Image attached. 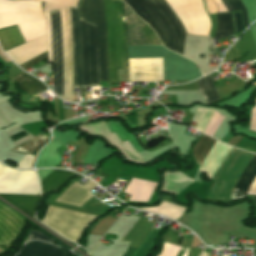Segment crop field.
I'll return each mask as SVG.
<instances>
[{
	"mask_svg": "<svg viewBox=\"0 0 256 256\" xmlns=\"http://www.w3.org/2000/svg\"><path fill=\"white\" fill-rule=\"evenodd\" d=\"M253 197V199H254V202H255V204H256V196H252Z\"/></svg>",
	"mask_w": 256,
	"mask_h": 256,
	"instance_id": "32",
	"label": "crop field"
},
{
	"mask_svg": "<svg viewBox=\"0 0 256 256\" xmlns=\"http://www.w3.org/2000/svg\"><path fill=\"white\" fill-rule=\"evenodd\" d=\"M95 186L96 185H94L90 181H88L84 187L75 182L55 201L81 206L83 203H85L89 198L93 196L89 192Z\"/></svg>",
	"mask_w": 256,
	"mask_h": 256,
	"instance_id": "14",
	"label": "crop field"
},
{
	"mask_svg": "<svg viewBox=\"0 0 256 256\" xmlns=\"http://www.w3.org/2000/svg\"><path fill=\"white\" fill-rule=\"evenodd\" d=\"M24 43L16 25L0 30V45L3 51Z\"/></svg>",
	"mask_w": 256,
	"mask_h": 256,
	"instance_id": "21",
	"label": "crop field"
},
{
	"mask_svg": "<svg viewBox=\"0 0 256 256\" xmlns=\"http://www.w3.org/2000/svg\"><path fill=\"white\" fill-rule=\"evenodd\" d=\"M47 20L48 35L41 36L32 41L19 45L15 48L5 51V53L18 65L28 59L48 50V62H52L51 57V24L49 13H44Z\"/></svg>",
	"mask_w": 256,
	"mask_h": 256,
	"instance_id": "8",
	"label": "crop field"
},
{
	"mask_svg": "<svg viewBox=\"0 0 256 256\" xmlns=\"http://www.w3.org/2000/svg\"><path fill=\"white\" fill-rule=\"evenodd\" d=\"M206 3V10L209 14L215 13L216 12V6L212 2V0H204ZM218 6V12H223L226 11L223 3L221 0H214Z\"/></svg>",
	"mask_w": 256,
	"mask_h": 256,
	"instance_id": "28",
	"label": "crop field"
},
{
	"mask_svg": "<svg viewBox=\"0 0 256 256\" xmlns=\"http://www.w3.org/2000/svg\"><path fill=\"white\" fill-rule=\"evenodd\" d=\"M63 46V99L72 101V52L69 8L60 9Z\"/></svg>",
	"mask_w": 256,
	"mask_h": 256,
	"instance_id": "7",
	"label": "crop field"
},
{
	"mask_svg": "<svg viewBox=\"0 0 256 256\" xmlns=\"http://www.w3.org/2000/svg\"><path fill=\"white\" fill-rule=\"evenodd\" d=\"M72 24L73 89H82L81 42L77 8H70Z\"/></svg>",
	"mask_w": 256,
	"mask_h": 256,
	"instance_id": "12",
	"label": "crop field"
},
{
	"mask_svg": "<svg viewBox=\"0 0 256 256\" xmlns=\"http://www.w3.org/2000/svg\"><path fill=\"white\" fill-rule=\"evenodd\" d=\"M16 24L25 42L46 33L41 2L0 0V29Z\"/></svg>",
	"mask_w": 256,
	"mask_h": 256,
	"instance_id": "3",
	"label": "crop field"
},
{
	"mask_svg": "<svg viewBox=\"0 0 256 256\" xmlns=\"http://www.w3.org/2000/svg\"><path fill=\"white\" fill-rule=\"evenodd\" d=\"M193 181L194 180L188 178L179 171L174 173H167L164 171V186L161 190L165 192H173L177 195Z\"/></svg>",
	"mask_w": 256,
	"mask_h": 256,
	"instance_id": "18",
	"label": "crop field"
},
{
	"mask_svg": "<svg viewBox=\"0 0 256 256\" xmlns=\"http://www.w3.org/2000/svg\"><path fill=\"white\" fill-rule=\"evenodd\" d=\"M45 58H47V52H45V53H43V54H41V55L31 59L30 61H28V62H26V63H24V64H22L20 66L25 70L28 67L32 66L33 64H35V63H37V62H39V61H41V60H43Z\"/></svg>",
	"mask_w": 256,
	"mask_h": 256,
	"instance_id": "30",
	"label": "crop field"
},
{
	"mask_svg": "<svg viewBox=\"0 0 256 256\" xmlns=\"http://www.w3.org/2000/svg\"><path fill=\"white\" fill-rule=\"evenodd\" d=\"M217 22L218 28L214 41L234 34L230 13L217 14Z\"/></svg>",
	"mask_w": 256,
	"mask_h": 256,
	"instance_id": "24",
	"label": "crop field"
},
{
	"mask_svg": "<svg viewBox=\"0 0 256 256\" xmlns=\"http://www.w3.org/2000/svg\"><path fill=\"white\" fill-rule=\"evenodd\" d=\"M25 221L0 204V245H9L18 235Z\"/></svg>",
	"mask_w": 256,
	"mask_h": 256,
	"instance_id": "11",
	"label": "crop field"
},
{
	"mask_svg": "<svg viewBox=\"0 0 256 256\" xmlns=\"http://www.w3.org/2000/svg\"><path fill=\"white\" fill-rule=\"evenodd\" d=\"M215 143V140L207 137L206 135H202V137L197 142L196 146L192 150V154L196 159L197 165L200 166L201 162L205 158L206 154Z\"/></svg>",
	"mask_w": 256,
	"mask_h": 256,
	"instance_id": "25",
	"label": "crop field"
},
{
	"mask_svg": "<svg viewBox=\"0 0 256 256\" xmlns=\"http://www.w3.org/2000/svg\"><path fill=\"white\" fill-rule=\"evenodd\" d=\"M233 16H234L235 30L236 32H238L240 29H242L240 12L233 13Z\"/></svg>",
	"mask_w": 256,
	"mask_h": 256,
	"instance_id": "31",
	"label": "crop field"
},
{
	"mask_svg": "<svg viewBox=\"0 0 256 256\" xmlns=\"http://www.w3.org/2000/svg\"><path fill=\"white\" fill-rule=\"evenodd\" d=\"M230 150L231 147L216 141L212 150L207 154L206 158L202 162L199 170L204 172L211 180Z\"/></svg>",
	"mask_w": 256,
	"mask_h": 256,
	"instance_id": "13",
	"label": "crop field"
},
{
	"mask_svg": "<svg viewBox=\"0 0 256 256\" xmlns=\"http://www.w3.org/2000/svg\"><path fill=\"white\" fill-rule=\"evenodd\" d=\"M11 79L17 81L18 87L22 91H24L30 95H32L33 93H36L38 91H41L43 89H46V86L44 84L39 82L36 78L27 75L23 71L20 72L19 74L15 75Z\"/></svg>",
	"mask_w": 256,
	"mask_h": 256,
	"instance_id": "20",
	"label": "crop field"
},
{
	"mask_svg": "<svg viewBox=\"0 0 256 256\" xmlns=\"http://www.w3.org/2000/svg\"><path fill=\"white\" fill-rule=\"evenodd\" d=\"M201 256H207V254H205V253L202 252Z\"/></svg>",
	"mask_w": 256,
	"mask_h": 256,
	"instance_id": "33",
	"label": "crop field"
},
{
	"mask_svg": "<svg viewBox=\"0 0 256 256\" xmlns=\"http://www.w3.org/2000/svg\"><path fill=\"white\" fill-rule=\"evenodd\" d=\"M79 128L89 134L102 135L108 143L120 150L125 159L138 164H146L128 141L121 142L116 134H111L105 122L87 124Z\"/></svg>",
	"mask_w": 256,
	"mask_h": 256,
	"instance_id": "9",
	"label": "crop field"
},
{
	"mask_svg": "<svg viewBox=\"0 0 256 256\" xmlns=\"http://www.w3.org/2000/svg\"><path fill=\"white\" fill-rule=\"evenodd\" d=\"M0 197L7 200L10 204L25 211L33 216V212L39 203L38 195H16V194H0Z\"/></svg>",
	"mask_w": 256,
	"mask_h": 256,
	"instance_id": "17",
	"label": "crop field"
},
{
	"mask_svg": "<svg viewBox=\"0 0 256 256\" xmlns=\"http://www.w3.org/2000/svg\"><path fill=\"white\" fill-rule=\"evenodd\" d=\"M83 87L99 85L97 26L81 19Z\"/></svg>",
	"mask_w": 256,
	"mask_h": 256,
	"instance_id": "5",
	"label": "crop field"
},
{
	"mask_svg": "<svg viewBox=\"0 0 256 256\" xmlns=\"http://www.w3.org/2000/svg\"><path fill=\"white\" fill-rule=\"evenodd\" d=\"M78 175L62 170H54L43 180L40 181L42 194H49L52 191H56L59 187L64 186L69 179Z\"/></svg>",
	"mask_w": 256,
	"mask_h": 256,
	"instance_id": "16",
	"label": "crop field"
},
{
	"mask_svg": "<svg viewBox=\"0 0 256 256\" xmlns=\"http://www.w3.org/2000/svg\"><path fill=\"white\" fill-rule=\"evenodd\" d=\"M213 111L197 108L193 117V120L198 121L195 128L203 132L211 114Z\"/></svg>",
	"mask_w": 256,
	"mask_h": 256,
	"instance_id": "26",
	"label": "crop field"
},
{
	"mask_svg": "<svg viewBox=\"0 0 256 256\" xmlns=\"http://www.w3.org/2000/svg\"><path fill=\"white\" fill-rule=\"evenodd\" d=\"M79 17L98 25L100 80L108 82L107 53H106V21L102 0H81Z\"/></svg>",
	"mask_w": 256,
	"mask_h": 256,
	"instance_id": "6",
	"label": "crop field"
},
{
	"mask_svg": "<svg viewBox=\"0 0 256 256\" xmlns=\"http://www.w3.org/2000/svg\"><path fill=\"white\" fill-rule=\"evenodd\" d=\"M108 27L110 83L116 69L127 68L126 32L121 1L104 0ZM130 81H163L162 58L128 59Z\"/></svg>",
	"mask_w": 256,
	"mask_h": 256,
	"instance_id": "1",
	"label": "crop field"
},
{
	"mask_svg": "<svg viewBox=\"0 0 256 256\" xmlns=\"http://www.w3.org/2000/svg\"><path fill=\"white\" fill-rule=\"evenodd\" d=\"M16 256H68L59 248L39 241L27 242Z\"/></svg>",
	"mask_w": 256,
	"mask_h": 256,
	"instance_id": "15",
	"label": "crop field"
},
{
	"mask_svg": "<svg viewBox=\"0 0 256 256\" xmlns=\"http://www.w3.org/2000/svg\"><path fill=\"white\" fill-rule=\"evenodd\" d=\"M96 217L49 206L43 220L44 224L68 240L78 242L83 230Z\"/></svg>",
	"mask_w": 256,
	"mask_h": 256,
	"instance_id": "4",
	"label": "crop field"
},
{
	"mask_svg": "<svg viewBox=\"0 0 256 256\" xmlns=\"http://www.w3.org/2000/svg\"><path fill=\"white\" fill-rule=\"evenodd\" d=\"M158 35L168 49L182 54L185 32L163 0H124Z\"/></svg>",
	"mask_w": 256,
	"mask_h": 256,
	"instance_id": "2",
	"label": "crop field"
},
{
	"mask_svg": "<svg viewBox=\"0 0 256 256\" xmlns=\"http://www.w3.org/2000/svg\"><path fill=\"white\" fill-rule=\"evenodd\" d=\"M197 84L199 92L206 104L220 99L210 76L198 80Z\"/></svg>",
	"mask_w": 256,
	"mask_h": 256,
	"instance_id": "22",
	"label": "crop field"
},
{
	"mask_svg": "<svg viewBox=\"0 0 256 256\" xmlns=\"http://www.w3.org/2000/svg\"><path fill=\"white\" fill-rule=\"evenodd\" d=\"M54 93L62 98V47L59 11H51Z\"/></svg>",
	"mask_w": 256,
	"mask_h": 256,
	"instance_id": "10",
	"label": "crop field"
},
{
	"mask_svg": "<svg viewBox=\"0 0 256 256\" xmlns=\"http://www.w3.org/2000/svg\"><path fill=\"white\" fill-rule=\"evenodd\" d=\"M228 11L242 10L244 27L248 26L246 10L240 0H222Z\"/></svg>",
	"mask_w": 256,
	"mask_h": 256,
	"instance_id": "27",
	"label": "crop field"
},
{
	"mask_svg": "<svg viewBox=\"0 0 256 256\" xmlns=\"http://www.w3.org/2000/svg\"><path fill=\"white\" fill-rule=\"evenodd\" d=\"M50 138L38 134L35 137L13 147L11 151L19 152V153H29L32 154L34 151H36L40 146H42L46 141H48Z\"/></svg>",
	"mask_w": 256,
	"mask_h": 256,
	"instance_id": "23",
	"label": "crop field"
},
{
	"mask_svg": "<svg viewBox=\"0 0 256 256\" xmlns=\"http://www.w3.org/2000/svg\"><path fill=\"white\" fill-rule=\"evenodd\" d=\"M255 177H256V156L254 157L249 167L247 168V170L239 180L235 188L232 200L243 198L247 193L248 187L251 185Z\"/></svg>",
	"mask_w": 256,
	"mask_h": 256,
	"instance_id": "19",
	"label": "crop field"
},
{
	"mask_svg": "<svg viewBox=\"0 0 256 256\" xmlns=\"http://www.w3.org/2000/svg\"><path fill=\"white\" fill-rule=\"evenodd\" d=\"M30 239H40V240H42V241H47V242H52V240H53V239H51V238H49V237H47V236H45V235L39 233V232L36 231V230H33V229L30 230L26 241H27V240H30ZM26 241H25V242H26ZM53 241H54V240H53Z\"/></svg>",
	"mask_w": 256,
	"mask_h": 256,
	"instance_id": "29",
	"label": "crop field"
}]
</instances>
